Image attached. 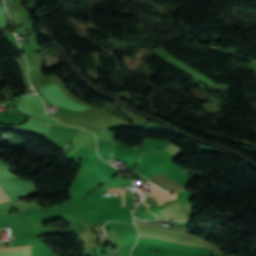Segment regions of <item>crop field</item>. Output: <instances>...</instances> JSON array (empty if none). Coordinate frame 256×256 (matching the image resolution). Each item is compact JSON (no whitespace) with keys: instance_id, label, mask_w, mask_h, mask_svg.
Instances as JSON below:
<instances>
[{"instance_id":"6","label":"crop field","mask_w":256,"mask_h":256,"mask_svg":"<svg viewBox=\"0 0 256 256\" xmlns=\"http://www.w3.org/2000/svg\"><path fill=\"white\" fill-rule=\"evenodd\" d=\"M216 254H219L218 252H216Z\"/></svg>"},{"instance_id":"5","label":"crop field","mask_w":256,"mask_h":256,"mask_svg":"<svg viewBox=\"0 0 256 256\" xmlns=\"http://www.w3.org/2000/svg\"><path fill=\"white\" fill-rule=\"evenodd\" d=\"M122 206H124V199H123V194H122Z\"/></svg>"},{"instance_id":"2","label":"crop field","mask_w":256,"mask_h":256,"mask_svg":"<svg viewBox=\"0 0 256 256\" xmlns=\"http://www.w3.org/2000/svg\"><path fill=\"white\" fill-rule=\"evenodd\" d=\"M30 247V246H27ZM27 247H19V248H5L0 250L6 249H20V248H27ZM0 256H30V248L27 249H20V250H6L0 251Z\"/></svg>"},{"instance_id":"1","label":"crop field","mask_w":256,"mask_h":256,"mask_svg":"<svg viewBox=\"0 0 256 256\" xmlns=\"http://www.w3.org/2000/svg\"><path fill=\"white\" fill-rule=\"evenodd\" d=\"M149 181L159 185L160 187H162L170 192H177V191L185 188L159 172Z\"/></svg>"},{"instance_id":"3","label":"crop field","mask_w":256,"mask_h":256,"mask_svg":"<svg viewBox=\"0 0 256 256\" xmlns=\"http://www.w3.org/2000/svg\"><path fill=\"white\" fill-rule=\"evenodd\" d=\"M165 150H167L169 153H171L175 157L184 151L178 146H176L175 144H173L172 142H169Z\"/></svg>"},{"instance_id":"4","label":"crop field","mask_w":256,"mask_h":256,"mask_svg":"<svg viewBox=\"0 0 256 256\" xmlns=\"http://www.w3.org/2000/svg\"><path fill=\"white\" fill-rule=\"evenodd\" d=\"M11 200L5 190L0 185V202Z\"/></svg>"}]
</instances>
